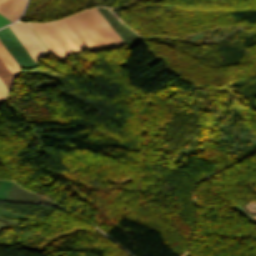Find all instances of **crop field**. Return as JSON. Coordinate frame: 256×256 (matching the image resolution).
Masks as SVG:
<instances>
[{"mask_svg": "<svg viewBox=\"0 0 256 256\" xmlns=\"http://www.w3.org/2000/svg\"><path fill=\"white\" fill-rule=\"evenodd\" d=\"M29 24L58 60L85 48L64 19L46 24Z\"/></svg>", "mask_w": 256, "mask_h": 256, "instance_id": "8a807250", "label": "crop field"}, {"mask_svg": "<svg viewBox=\"0 0 256 256\" xmlns=\"http://www.w3.org/2000/svg\"><path fill=\"white\" fill-rule=\"evenodd\" d=\"M65 20L89 52L114 47L88 10L67 17Z\"/></svg>", "mask_w": 256, "mask_h": 256, "instance_id": "ac0d7876", "label": "crop field"}, {"mask_svg": "<svg viewBox=\"0 0 256 256\" xmlns=\"http://www.w3.org/2000/svg\"><path fill=\"white\" fill-rule=\"evenodd\" d=\"M9 28L36 62V59L48 55L49 52L26 23H14Z\"/></svg>", "mask_w": 256, "mask_h": 256, "instance_id": "34b2d1b8", "label": "crop field"}, {"mask_svg": "<svg viewBox=\"0 0 256 256\" xmlns=\"http://www.w3.org/2000/svg\"><path fill=\"white\" fill-rule=\"evenodd\" d=\"M24 0H0V13L13 21L20 15Z\"/></svg>", "mask_w": 256, "mask_h": 256, "instance_id": "412701ff", "label": "crop field"}, {"mask_svg": "<svg viewBox=\"0 0 256 256\" xmlns=\"http://www.w3.org/2000/svg\"><path fill=\"white\" fill-rule=\"evenodd\" d=\"M89 12L92 14L94 19L100 25L102 30L105 32L110 41L117 48L119 46L124 45L123 41L119 38V36L115 33V31L111 28V26L107 23V21L102 17V15L97 11L96 8L89 9Z\"/></svg>", "mask_w": 256, "mask_h": 256, "instance_id": "f4fd0767", "label": "crop field"}, {"mask_svg": "<svg viewBox=\"0 0 256 256\" xmlns=\"http://www.w3.org/2000/svg\"><path fill=\"white\" fill-rule=\"evenodd\" d=\"M0 59L4 63V65L7 67V69L10 71V73L13 75L14 78L22 72V70L19 68V66L16 64V62L13 60V58L10 56V54L1 44V42H0Z\"/></svg>", "mask_w": 256, "mask_h": 256, "instance_id": "dd49c442", "label": "crop field"}, {"mask_svg": "<svg viewBox=\"0 0 256 256\" xmlns=\"http://www.w3.org/2000/svg\"><path fill=\"white\" fill-rule=\"evenodd\" d=\"M0 79L3 81L6 87L10 90V86L14 78L12 77V75L9 73V71L6 69V67L3 65L1 61H0Z\"/></svg>", "mask_w": 256, "mask_h": 256, "instance_id": "e52e79f7", "label": "crop field"}, {"mask_svg": "<svg viewBox=\"0 0 256 256\" xmlns=\"http://www.w3.org/2000/svg\"><path fill=\"white\" fill-rule=\"evenodd\" d=\"M0 93L2 94V96L5 98V100L8 97V89L5 87V85L2 83V81L0 80Z\"/></svg>", "mask_w": 256, "mask_h": 256, "instance_id": "d8731c3e", "label": "crop field"}, {"mask_svg": "<svg viewBox=\"0 0 256 256\" xmlns=\"http://www.w3.org/2000/svg\"><path fill=\"white\" fill-rule=\"evenodd\" d=\"M10 22L8 19H6L5 17H3L2 15H0V26L6 24Z\"/></svg>", "mask_w": 256, "mask_h": 256, "instance_id": "5a996713", "label": "crop field"}, {"mask_svg": "<svg viewBox=\"0 0 256 256\" xmlns=\"http://www.w3.org/2000/svg\"><path fill=\"white\" fill-rule=\"evenodd\" d=\"M3 101H5V100H4V98L0 94V102H3Z\"/></svg>", "mask_w": 256, "mask_h": 256, "instance_id": "3316defc", "label": "crop field"}, {"mask_svg": "<svg viewBox=\"0 0 256 256\" xmlns=\"http://www.w3.org/2000/svg\"><path fill=\"white\" fill-rule=\"evenodd\" d=\"M254 218L256 219V216Z\"/></svg>", "mask_w": 256, "mask_h": 256, "instance_id": "28ad6ade", "label": "crop field"}]
</instances>
